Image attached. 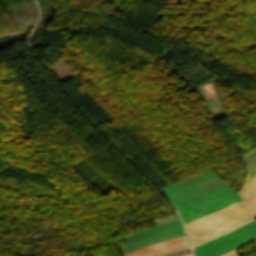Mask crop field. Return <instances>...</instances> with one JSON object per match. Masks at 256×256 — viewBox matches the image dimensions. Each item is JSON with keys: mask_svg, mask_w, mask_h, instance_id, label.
<instances>
[{"mask_svg": "<svg viewBox=\"0 0 256 256\" xmlns=\"http://www.w3.org/2000/svg\"><path fill=\"white\" fill-rule=\"evenodd\" d=\"M236 256V255H235Z\"/></svg>", "mask_w": 256, "mask_h": 256, "instance_id": "14", "label": "crop field"}, {"mask_svg": "<svg viewBox=\"0 0 256 256\" xmlns=\"http://www.w3.org/2000/svg\"><path fill=\"white\" fill-rule=\"evenodd\" d=\"M162 191L183 219L192 246L256 217V212L210 170Z\"/></svg>", "mask_w": 256, "mask_h": 256, "instance_id": "1", "label": "crop field"}, {"mask_svg": "<svg viewBox=\"0 0 256 256\" xmlns=\"http://www.w3.org/2000/svg\"><path fill=\"white\" fill-rule=\"evenodd\" d=\"M236 253H235V249L234 250H232V251H230V252H228V253H226V254H224V255H221V256H233V255H235Z\"/></svg>", "mask_w": 256, "mask_h": 256, "instance_id": "12", "label": "crop field"}, {"mask_svg": "<svg viewBox=\"0 0 256 256\" xmlns=\"http://www.w3.org/2000/svg\"><path fill=\"white\" fill-rule=\"evenodd\" d=\"M187 248H189L188 244L184 245V246H181V247H177V248L171 249V250L164 251V252L156 254L154 256H165V255L171 254L173 252H176V251H179V250H183V249H187Z\"/></svg>", "mask_w": 256, "mask_h": 256, "instance_id": "9", "label": "crop field"}, {"mask_svg": "<svg viewBox=\"0 0 256 256\" xmlns=\"http://www.w3.org/2000/svg\"><path fill=\"white\" fill-rule=\"evenodd\" d=\"M245 200L256 210V192Z\"/></svg>", "mask_w": 256, "mask_h": 256, "instance_id": "10", "label": "crop field"}, {"mask_svg": "<svg viewBox=\"0 0 256 256\" xmlns=\"http://www.w3.org/2000/svg\"><path fill=\"white\" fill-rule=\"evenodd\" d=\"M186 256H192V255L190 254V255H186Z\"/></svg>", "mask_w": 256, "mask_h": 256, "instance_id": "13", "label": "crop field"}, {"mask_svg": "<svg viewBox=\"0 0 256 256\" xmlns=\"http://www.w3.org/2000/svg\"><path fill=\"white\" fill-rule=\"evenodd\" d=\"M155 223L157 226L146 228V229L140 230L138 232H135V233L123 238L124 241L127 243V242H130L132 240L141 238V237L149 235V234H153V233H157V232H161V231H165V230H169V229H173V228L182 226L177 214L163 218V219L155 220Z\"/></svg>", "mask_w": 256, "mask_h": 256, "instance_id": "4", "label": "crop field"}, {"mask_svg": "<svg viewBox=\"0 0 256 256\" xmlns=\"http://www.w3.org/2000/svg\"><path fill=\"white\" fill-rule=\"evenodd\" d=\"M187 243H188L187 240H185V241L178 242V243H175V244H172V245H169V246H166V247L157 249V250H155V251H152V252L143 254V255H141V256H151V255H154V254H156V253L162 252V251H164V250H167V249H170V248H174V247H177V246H180V245H184V244H187Z\"/></svg>", "mask_w": 256, "mask_h": 256, "instance_id": "8", "label": "crop field"}, {"mask_svg": "<svg viewBox=\"0 0 256 256\" xmlns=\"http://www.w3.org/2000/svg\"><path fill=\"white\" fill-rule=\"evenodd\" d=\"M184 239L185 238L182 235L180 237H176V238L168 239V240H165V241L157 242V243H154V244L149 245L147 247H144V248H141L139 250H136L134 252L128 253V254H126L124 256H138V255L146 253V252H148V251H150L152 249L160 248V247H163V246H166V245H169V244H172V243L184 240Z\"/></svg>", "mask_w": 256, "mask_h": 256, "instance_id": "5", "label": "crop field"}, {"mask_svg": "<svg viewBox=\"0 0 256 256\" xmlns=\"http://www.w3.org/2000/svg\"><path fill=\"white\" fill-rule=\"evenodd\" d=\"M190 252H191L190 249H187V250L176 252V253L168 255V256H182V255L188 254Z\"/></svg>", "mask_w": 256, "mask_h": 256, "instance_id": "11", "label": "crop field"}, {"mask_svg": "<svg viewBox=\"0 0 256 256\" xmlns=\"http://www.w3.org/2000/svg\"><path fill=\"white\" fill-rule=\"evenodd\" d=\"M244 161L248 171V175L245 181V184H247L254 176H256V148H254L244 157Z\"/></svg>", "mask_w": 256, "mask_h": 256, "instance_id": "6", "label": "crop field"}, {"mask_svg": "<svg viewBox=\"0 0 256 256\" xmlns=\"http://www.w3.org/2000/svg\"><path fill=\"white\" fill-rule=\"evenodd\" d=\"M256 191V177L245 185L239 194L245 199Z\"/></svg>", "mask_w": 256, "mask_h": 256, "instance_id": "7", "label": "crop field"}, {"mask_svg": "<svg viewBox=\"0 0 256 256\" xmlns=\"http://www.w3.org/2000/svg\"><path fill=\"white\" fill-rule=\"evenodd\" d=\"M182 234H185V233H184L183 228L181 227V228H177V229H173V230H169V231H165V232H161V233L143 237L141 239L121 245V246H119V248L124 253H128L130 251L139 249L141 247L152 244L154 242L161 241V240L168 239V238L175 237V236L182 235Z\"/></svg>", "mask_w": 256, "mask_h": 256, "instance_id": "3", "label": "crop field"}, {"mask_svg": "<svg viewBox=\"0 0 256 256\" xmlns=\"http://www.w3.org/2000/svg\"><path fill=\"white\" fill-rule=\"evenodd\" d=\"M256 240V222L251 221L193 249L195 256H219Z\"/></svg>", "mask_w": 256, "mask_h": 256, "instance_id": "2", "label": "crop field"}]
</instances>
